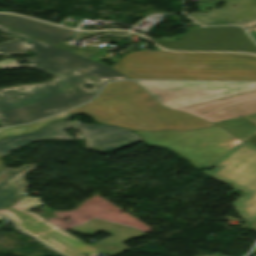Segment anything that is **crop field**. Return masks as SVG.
<instances>
[{"label": "crop field", "instance_id": "obj_1", "mask_svg": "<svg viewBox=\"0 0 256 256\" xmlns=\"http://www.w3.org/2000/svg\"><path fill=\"white\" fill-rule=\"evenodd\" d=\"M0 31L18 38L1 43L0 54H18L26 50L37 53L29 60L0 61V68L32 66L56 77L48 83L0 88V123L3 126L27 123L68 110L92 99L105 81L129 79L97 62L3 26ZM17 61L32 64L17 65ZM90 77L98 80L90 82ZM85 83H96V86L89 91L81 86Z\"/></svg>", "mask_w": 256, "mask_h": 256}, {"label": "crop field", "instance_id": "obj_2", "mask_svg": "<svg viewBox=\"0 0 256 256\" xmlns=\"http://www.w3.org/2000/svg\"><path fill=\"white\" fill-rule=\"evenodd\" d=\"M144 143L166 147L191 161L197 169L222 168L203 173L247 194L233 204L241 218L256 220V148L243 143L219 126L190 131L135 132Z\"/></svg>", "mask_w": 256, "mask_h": 256}, {"label": "crop field", "instance_id": "obj_3", "mask_svg": "<svg viewBox=\"0 0 256 256\" xmlns=\"http://www.w3.org/2000/svg\"><path fill=\"white\" fill-rule=\"evenodd\" d=\"M132 130H189L214 126L194 115L162 108L134 81L112 82L90 103L69 111Z\"/></svg>", "mask_w": 256, "mask_h": 256}, {"label": "crop field", "instance_id": "obj_4", "mask_svg": "<svg viewBox=\"0 0 256 256\" xmlns=\"http://www.w3.org/2000/svg\"><path fill=\"white\" fill-rule=\"evenodd\" d=\"M112 69L132 79L256 81V67H230L229 54L133 52Z\"/></svg>", "mask_w": 256, "mask_h": 256}, {"label": "crop field", "instance_id": "obj_5", "mask_svg": "<svg viewBox=\"0 0 256 256\" xmlns=\"http://www.w3.org/2000/svg\"><path fill=\"white\" fill-rule=\"evenodd\" d=\"M41 205L43 204L40 203L39 197L26 196L9 209L0 210V215L12 220L20 230L64 256H84L82 254L90 256L98 252L70 234L43 221L42 219L54 216L50 208L41 207L45 213L39 216L24 210Z\"/></svg>", "mask_w": 256, "mask_h": 256}, {"label": "crop field", "instance_id": "obj_6", "mask_svg": "<svg viewBox=\"0 0 256 256\" xmlns=\"http://www.w3.org/2000/svg\"><path fill=\"white\" fill-rule=\"evenodd\" d=\"M188 34L173 38L180 41L156 40L162 48L171 50L236 51L256 53V46L241 27L186 28Z\"/></svg>", "mask_w": 256, "mask_h": 256}, {"label": "crop field", "instance_id": "obj_7", "mask_svg": "<svg viewBox=\"0 0 256 256\" xmlns=\"http://www.w3.org/2000/svg\"><path fill=\"white\" fill-rule=\"evenodd\" d=\"M160 104L171 108L251 88L256 83L136 81Z\"/></svg>", "mask_w": 256, "mask_h": 256}, {"label": "crop field", "instance_id": "obj_8", "mask_svg": "<svg viewBox=\"0 0 256 256\" xmlns=\"http://www.w3.org/2000/svg\"><path fill=\"white\" fill-rule=\"evenodd\" d=\"M172 109L194 114L213 123L252 114L256 112V87Z\"/></svg>", "mask_w": 256, "mask_h": 256}, {"label": "crop field", "instance_id": "obj_9", "mask_svg": "<svg viewBox=\"0 0 256 256\" xmlns=\"http://www.w3.org/2000/svg\"><path fill=\"white\" fill-rule=\"evenodd\" d=\"M70 124L83 135L86 141L85 148L96 152L109 150L143 140L131 131L113 126L84 123Z\"/></svg>", "mask_w": 256, "mask_h": 256}, {"label": "crop field", "instance_id": "obj_10", "mask_svg": "<svg viewBox=\"0 0 256 256\" xmlns=\"http://www.w3.org/2000/svg\"><path fill=\"white\" fill-rule=\"evenodd\" d=\"M226 6L205 14H187L198 25L245 24L256 20V0H225ZM234 5L235 8L232 6Z\"/></svg>", "mask_w": 256, "mask_h": 256}, {"label": "crop field", "instance_id": "obj_11", "mask_svg": "<svg viewBox=\"0 0 256 256\" xmlns=\"http://www.w3.org/2000/svg\"><path fill=\"white\" fill-rule=\"evenodd\" d=\"M69 230L90 234V235H93L98 230L116 234L108 239H105L101 242H98L92 245L96 249L100 250L101 252L109 256H115L117 254H120L122 252L129 250V248H127L122 243L132 238L143 235L142 233L136 230H133L129 227L111 224V223H107V222H103L95 219L81 226H74Z\"/></svg>", "mask_w": 256, "mask_h": 256}, {"label": "crop field", "instance_id": "obj_12", "mask_svg": "<svg viewBox=\"0 0 256 256\" xmlns=\"http://www.w3.org/2000/svg\"><path fill=\"white\" fill-rule=\"evenodd\" d=\"M0 24L54 45L77 32L10 14H0Z\"/></svg>", "mask_w": 256, "mask_h": 256}, {"label": "crop field", "instance_id": "obj_13", "mask_svg": "<svg viewBox=\"0 0 256 256\" xmlns=\"http://www.w3.org/2000/svg\"><path fill=\"white\" fill-rule=\"evenodd\" d=\"M36 165L24 164L18 169L6 167L0 169V208L10 206L23 196L20 193L27 188V183L23 177Z\"/></svg>", "mask_w": 256, "mask_h": 256}, {"label": "crop field", "instance_id": "obj_14", "mask_svg": "<svg viewBox=\"0 0 256 256\" xmlns=\"http://www.w3.org/2000/svg\"><path fill=\"white\" fill-rule=\"evenodd\" d=\"M65 121L54 122L47 127L32 133L17 137L6 138L0 141V158L7 153L23 147L25 144L44 139H73L62 130L70 129Z\"/></svg>", "mask_w": 256, "mask_h": 256}, {"label": "crop field", "instance_id": "obj_15", "mask_svg": "<svg viewBox=\"0 0 256 256\" xmlns=\"http://www.w3.org/2000/svg\"><path fill=\"white\" fill-rule=\"evenodd\" d=\"M221 125L234 136L241 140L247 139L250 135L256 132V114L216 123Z\"/></svg>", "mask_w": 256, "mask_h": 256}, {"label": "crop field", "instance_id": "obj_16", "mask_svg": "<svg viewBox=\"0 0 256 256\" xmlns=\"http://www.w3.org/2000/svg\"><path fill=\"white\" fill-rule=\"evenodd\" d=\"M63 118H64L63 115L60 114V115H56L50 118L37 121L29 125L0 128V138L7 137L14 134H23V133L31 132L38 129L39 127H41L42 125L46 124L49 121H54L56 119H63Z\"/></svg>", "mask_w": 256, "mask_h": 256}, {"label": "crop field", "instance_id": "obj_17", "mask_svg": "<svg viewBox=\"0 0 256 256\" xmlns=\"http://www.w3.org/2000/svg\"><path fill=\"white\" fill-rule=\"evenodd\" d=\"M231 66H256V56L248 54H230Z\"/></svg>", "mask_w": 256, "mask_h": 256}, {"label": "crop field", "instance_id": "obj_18", "mask_svg": "<svg viewBox=\"0 0 256 256\" xmlns=\"http://www.w3.org/2000/svg\"><path fill=\"white\" fill-rule=\"evenodd\" d=\"M246 142L256 145V134L248 139Z\"/></svg>", "mask_w": 256, "mask_h": 256}, {"label": "crop field", "instance_id": "obj_19", "mask_svg": "<svg viewBox=\"0 0 256 256\" xmlns=\"http://www.w3.org/2000/svg\"><path fill=\"white\" fill-rule=\"evenodd\" d=\"M243 27H245V28H253V27H256V21H255V22H252V23H249V24H245V25H243Z\"/></svg>", "mask_w": 256, "mask_h": 256}, {"label": "crop field", "instance_id": "obj_20", "mask_svg": "<svg viewBox=\"0 0 256 256\" xmlns=\"http://www.w3.org/2000/svg\"><path fill=\"white\" fill-rule=\"evenodd\" d=\"M248 33L252 36V38H253V39L255 40V42H256V32L250 30Z\"/></svg>", "mask_w": 256, "mask_h": 256}, {"label": "crop field", "instance_id": "obj_21", "mask_svg": "<svg viewBox=\"0 0 256 256\" xmlns=\"http://www.w3.org/2000/svg\"><path fill=\"white\" fill-rule=\"evenodd\" d=\"M1 167H3V163H2V161L0 160V168H1Z\"/></svg>", "mask_w": 256, "mask_h": 256}, {"label": "crop field", "instance_id": "obj_22", "mask_svg": "<svg viewBox=\"0 0 256 256\" xmlns=\"http://www.w3.org/2000/svg\"><path fill=\"white\" fill-rule=\"evenodd\" d=\"M217 1H221V0H217Z\"/></svg>", "mask_w": 256, "mask_h": 256}, {"label": "crop field", "instance_id": "obj_23", "mask_svg": "<svg viewBox=\"0 0 256 256\" xmlns=\"http://www.w3.org/2000/svg\"><path fill=\"white\" fill-rule=\"evenodd\" d=\"M253 30H255V31H256V29H253Z\"/></svg>", "mask_w": 256, "mask_h": 256}]
</instances>
